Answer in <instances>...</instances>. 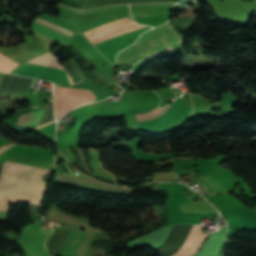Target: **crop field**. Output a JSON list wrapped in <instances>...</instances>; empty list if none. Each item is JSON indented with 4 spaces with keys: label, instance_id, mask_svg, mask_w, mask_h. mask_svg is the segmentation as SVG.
Returning a JSON list of instances; mask_svg holds the SVG:
<instances>
[{
    "label": "crop field",
    "instance_id": "7",
    "mask_svg": "<svg viewBox=\"0 0 256 256\" xmlns=\"http://www.w3.org/2000/svg\"><path fill=\"white\" fill-rule=\"evenodd\" d=\"M208 236V235H207ZM205 234L202 233L200 226H193L191 232L181 247V249L172 256H190L197 251L201 243L203 242ZM206 239V238H205Z\"/></svg>",
    "mask_w": 256,
    "mask_h": 256
},
{
    "label": "crop field",
    "instance_id": "1",
    "mask_svg": "<svg viewBox=\"0 0 256 256\" xmlns=\"http://www.w3.org/2000/svg\"><path fill=\"white\" fill-rule=\"evenodd\" d=\"M48 172L5 161L0 172V210H8L9 202L40 204L45 190L41 178Z\"/></svg>",
    "mask_w": 256,
    "mask_h": 256
},
{
    "label": "crop field",
    "instance_id": "12",
    "mask_svg": "<svg viewBox=\"0 0 256 256\" xmlns=\"http://www.w3.org/2000/svg\"><path fill=\"white\" fill-rule=\"evenodd\" d=\"M13 145H7V146H0V153L4 152L5 150H7L8 148H10Z\"/></svg>",
    "mask_w": 256,
    "mask_h": 256
},
{
    "label": "crop field",
    "instance_id": "8",
    "mask_svg": "<svg viewBox=\"0 0 256 256\" xmlns=\"http://www.w3.org/2000/svg\"><path fill=\"white\" fill-rule=\"evenodd\" d=\"M46 219H49L57 224H67V225H71V226H75L83 229L100 231L98 229L91 228L88 222L71 219L67 216L61 215L54 208L48 211L46 215Z\"/></svg>",
    "mask_w": 256,
    "mask_h": 256
},
{
    "label": "crop field",
    "instance_id": "10",
    "mask_svg": "<svg viewBox=\"0 0 256 256\" xmlns=\"http://www.w3.org/2000/svg\"><path fill=\"white\" fill-rule=\"evenodd\" d=\"M91 235H92V233L85 232L84 236L82 237V239L76 249L74 256H84L85 248H86V245H87Z\"/></svg>",
    "mask_w": 256,
    "mask_h": 256
},
{
    "label": "crop field",
    "instance_id": "11",
    "mask_svg": "<svg viewBox=\"0 0 256 256\" xmlns=\"http://www.w3.org/2000/svg\"><path fill=\"white\" fill-rule=\"evenodd\" d=\"M20 65H15L7 60H5L1 55H0V71L4 72H9L12 73L16 69H18Z\"/></svg>",
    "mask_w": 256,
    "mask_h": 256
},
{
    "label": "crop field",
    "instance_id": "4",
    "mask_svg": "<svg viewBox=\"0 0 256 256\" xmlns=\"http://www.w3.org/2000/svg\"><path fill=\"white\" fill-rule=\"evenodd\" d=\"M39 17H41V18H43V19H45V20H47V21H50V22H52V23H54V24H56V25H58V26H61V27H63V28H66V29H68V30H71V31H73V32H76V30H75L72 26H70V25L66 24L65 22H63V21H61V20H59V19H56V18H54V17H52V16L41 15V16H39ZM38 20L43 21V22H45V23H47V24H50V25H52V26H55V27H57V28H59V29H62V30H64V31H67V30H65V29H63V28H61V27H58V26H56V25H54V24H51V23H49V22H47V21H44V20H42V19H40V18H38ZM38 20H36L35 22L38 23V24H40V25H42V26H45V27H47V28H49V29H51V30H54V31H56V32H58V33H60V34H63V35H65V36L71 38V35H69V34H67V33H65V32H62V31H60V30H58V29H56V28H53V27H51V26H49V25H47V24H44V23H42V22H40V21H38ZM36 23H32V25H31V27H30V30H31V31L36 32V33H39V34H41V35H44V36L49 37V38H51V39H54V40H56V41H59V42L65 44V45H67V44H69V43L71 42V39H69V38H67V37H65V36H63V35H60V34L54 32V31H51V30H49V29H47V28H45V27H42V26H40V25H38V24H36ZM67 32H69V31H67ZM69 33H71V32H69ZM71 34H73V33H71ZM73 36H74V35H73ZM72 38H73V37H72Z\"/></svg>",
    "mask_w": 256,
    "mask_h": 256
},
{
    "label": "crop field",
    "instance_id": "6",
    "mask_svg": "<svg viewBox=\"0 0 256 256\" xmlns=\"http://www.w3.org/2000/svg\"><path fill=\"white\" fill-rule=\"evenodd\" d=\"M229 238L239 230H255L256 213L234 209L229 222Z\"/></svg>",
    "mask_w": 256,
    "mask_h": 256
},
{
    "label": "crop field",
    "instance_id": "9",
    "mask_svg": "<svg viewBox=\"0 0 256 256\" xmlns=\"http://www.w3.org/2000/svg\"><path fill=\"white\" fill-rule=\"evenodd\" d=\"M174 102V101H173ZM172 103L168 104V106L164 107L163 109H154L152 112L150 113H146V114H139V115H135L136 118L138 117H143V116H149V115H152L154 113H156L158 110H160L159 112H157L156 114L152 115V116H149V117H144V118H138L137 119V122H140V121H146V120H152V119H155L159 116H161L162 114H164L166 111H168L170 109V107L172 106Z\"/></svg>",
    "mask_w": 256,
    "mask_h": 256
},
{
    "label": "crop field",
    "instance_id": "5",
    "mask_svg": "<svg viewBox=\"0 0 256 256\" xmlns=\"http://www.w3.org/2000/svg\"><path fill=\"white\" fill-rule=\"evenodd\" d=\"M54 179L62 181V182L76 183V184H81V185H86V186H91V187L104 189V190H107V191L125 193V194H130L134 190V189H127V188H117V187L109 186V185L103 184L101 182L92 180L90 178H76V177L66 176V175H63V174H60V173H57V172H55ZM55 180L53 181L55 183L64 184V185H68V186L72 185V184H68V183L58 182V181H55ZM76 184H74V185H76ZM81 185H76L75 187L80 188V189H85V190H91V191L111 193V192L103 191V190H100V189L81 186ZM118 193H112V194H118ZM125 194H120V195H125Z\"/></svg>",
    "mask_w": 256,
    "mask_h": 256
},
{
    "label": "crop field",
    "instance_id": "3",
    "mask_svg": "<svg viewBox=\"0 0 256 256\" xmlns=\"http://www.w3.org/2000/svg\"><path fill=\"white\" fill-rule=\"evenodd\" d=\"M133 24H136V23L133 22L129 17H126V18H123L121 20L99 26V27H97L93 30L84 32V34L87 36V38L89 40H91V39L97 38L99 36L111 33L113 31L128 27V26L133 25ZM143 27H146V26L136 24V25L130 26L128 28L116 31L114 33L99 37V38L94 39V40H91V42L93 44H95V43L110 39L112 37H115L117 35L124 34V33H127V32H131V31H134L136 29L143 28Z\"/></svg>",
    "mask_w": 256,
    "mask_h": 256
},
{
    "label": "crop field",
    "instance_id": "2",
    "mask_svg": "<svg viewBox=\"0 0 256 256\" xmlns=\"http://www.w3.org/2000/svg\"><path fill=\"white\" fill-rule=\"evenodd\" d=\"M184 42L185 38L169 22L144 33L135 45L118 54L117 61L120 64L133 66L136 62L158 51L180 45Z\"/></svg>",
    "mask_w": 256,
    "mask_h": 256
}]
</instances>
